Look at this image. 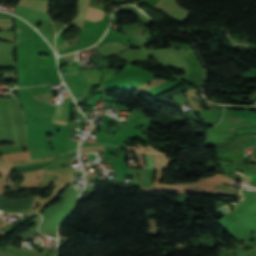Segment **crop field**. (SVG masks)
Returning <instances> with one entry per match:
<instances>
[{
  "label": "crop field",
  "mask_w": 256,
  "mask_h": 256,
  "mask_svg": "<svg viewBox=\"0 0 256 256\" xmlns=\"http://www.w3.org/2000/svg\"><path fill=\"white\" fill-rule=\"evenodd\" d=\"M48 3L49 0H19L17 6L47 13ZM18 7H16L14 13L21 16L36 29L38 28L36 25L50 20L49 16L45 13L31 11Z\"/></svg>",
  "instance_id": "8a807250"
},
{
  "label": "crop field",
  "mask_w": 256,
  "mask_h": 256,
  "mask_svg": "<svg viewBox=\"0 0 256 256\" xmlns=\"http://www.w3.org/2000/svg\"><path fill=\"white\" fill-rule=\"evenodd\" d=\"M249 135L233 139H225L222 143L217 144L219 158L244 162L243 144L247 142Z\"/></svg>",
  "instance_id": "ac0d7876"
},
{
  "label": "crop field",
  "mask_w": 256,
  "mask_h": 256,
  "mask_svg": "<svg viewBox=\"0 0 256 256\" xmlns=\"http://www.w3.org/2000/svg\"><path fill=\"white\" fill-rule=\"evenodd\" d=\"M175 2L176 0H159L156 8L166 13L169 17L183 22L187 19L189 12L183 10Z\"/></svg>",
  "instance_id": "34b2d1b8"
},
{
  "label": "crop field",
  "mask_w": 256,
  "mask_h": 256,
  "mask_svg": "<svg viewBox=\"0 0 256 256\" xmlns=\"http://www.w3.org/2000/svg\"><path fill=\"white\" fill-rule=\"evenodd\" d=\"M89 1L90 0H79L77 17L69 24L76 26L75 29H82Z\"/></svg>",
  "instance_id": "412701ff"
},
{
  "label": "crop field",
  "mask_w": 256,
  "mask_h": 256,
  "mask_svg": "<svg viewBox=\"0 0 256 256\" xmlns=\"http://www.w3.org/2000/svg\"><path fill=\"white\" fill-rule=\"evenodd\" d=\"M231 164L236 168L246 171L251 177V185L256 186V166L233 163Z\"/></svg>",
  "instance_id": "f4fd0767"
},
{
  "label": "crop field",
  "mask_w": 256,
  "mask_h": 256,
  "mask_svg": "<svg viewBox=\"0 0 256 256\" xmlns=\"http://www.w3.org/2000/svg\"><path fill=\"white\" fill-rule=\"evenodd\" d=\"M67 114H68V107L56 106L53 120L67 122ZM56 121H53V122H56ZM64 122H56V123H64ZM64 124H67V123H64Z\"/></svg>",
  "instance_id": "dd49c442"
},
{
  "label": "crop field",
  "mask_w": 256,
  "mask_h": 256,
  "mask_svg": "<svg viewBox=\"0 0 256 256\" xmlns=\"http://www.w3.org/2000/svg\"><path fill=\"white\" fill-rule=\"evenodd\" d=\"M124 49H126V48H124L123 46L113 44V45L104 46V47L98 49V51L108 57V56H111L114 53L120 52Z\"/></svg>",
  "instance_id": "e52e79f7"
},
{
  "label": "crop field",
  "mask_w": 256,
  "mask_h": 256,
  "mask_svg": "<svg viewBox=\"0 0 256 256\" xmlns=\"http://www.w3.org/2000/svg\"><path fill=\"white\" fill-rule=\"evenodd\" d=\"M104 12L98 9L90 8L87 11L86 18L91 21L101 20Z\"/></svg>",
  "instance_id": "d8731c3e"
},
{
  "label": "crop field",
  "mask_w": 256,
  "mask_h": 256,
  "mask_svg": "<svg viewBox=\"0 0 256 256\" xmlns=\"http://www.w3.org/2000/svg\"><path fill=\"white\" fill-rule=\"evenodd\" d=\"M255 125H256V122H242L233 133L243 132V131H256Z\"/></svg>",
  "instance_id": "5a996713"
},
{
  "label": "crop field",
  "mask_w": 256,
  "mask_h": 256,
  "mask_svg": "<svg viewBox=\"0 0 256 256\" xmlns=\"http://www.w3.org/2000/svg\"><path fill=\"white\" fill-rule=\"evenodd\" d=\"M139 146V148H136L135 146ZM134 147H129L127 146L126 149L128 150H134V151H137V152H140V153H143V154H161V155H165L159 151H155L153 149L150 148V146L146 147V148H142L139 143L136 144Z\"/></svg>",
  "instance_id": "3316defc"
},
{
  "label": "crop field",
  "mask_w": 256,
  "mask_h": 256,
  "mask_svg": "<svg viewBox=\"0 0 256 256\" xmlns=\"http://www.w3.org/2000/svg\"><path fill=\"white\" fill-rule=\"evenodd\" d=\"M104 150L103 146H86L80 148V154L102 151Z\"/></svg>",
  "instance_id": "28ad6ade"
},
{
  "label": "crop field",
  "mask_w": 256,
  "mask_h": 256,
  "mask_svg": "<svg viewBox=\"0 0 256 256\" xmlns=\"http://www.w3.org/2000/svg\"><path fill=\"white\" fill-rule=\"evenodd\" d=\"M169 161V160H168ZM167 160L163 156H154V167L165 168Z\"/></svg>",
  "instance_id": "d1516ede"
},
{
  "label": "crop field",
  "mask_w": 256,
  "mask_h": 256,
  "mask_svg": "<svg viewBox=\"0 0 256 256\" xmlns=\"http://www.w3.org/2000/svg\"><path fill=\"white\" fill-rule=\"evenodd\" d=\"M147 167L153 169V156H146Z\"/></svg>",
  "instance_id": "22f410ed"
},
{
  "label": "crop field",
  "mask_w": 256,
  "mask_h": 256,
  "mask_svg": "<svg viewBox=\"0 0 256 256\" xmlns=\"http://www.w3.org/2000/svg\"><path fill=\"white\" fill-rule=\"evenodd\" d=\"M0 171H1V173H2L3 176H9L8 171L5 169L4 166H1V167H0Z\"/></svg>",
  "instance_id": "cbeb9de0"
}]
</instances>
